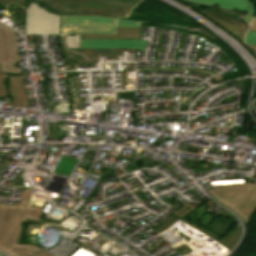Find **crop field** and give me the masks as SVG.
I'll return each mask as SVG.
<instances>
[{"instance_id":"crop-field-1","label":"crop field","mask_w":256,"mask_h":256,"mask_svg":"<svg viewBox=\"0 0 256 256\" xmlns=\"http://www.w3.org/2000/svg\"><path fill=\"white\" fill-rule=\"evenodd\" d=\"M32 189H23L19 206L0 204V249L11 256H31L40 251L31 245H16L21 222L26 218L39 221L41 208L29 207Z\"/></svg>"},{"instance_id":"crop-field-2","label":"crop field","mask_w":256,"mask_h":256,"mask_svg":"<svg viewBox=\"0 0 256 256\" xmlns=\"http://www.w3.org/2000/svg\"><path fill=\"white\" fill-rule=\"evenodd\" d=\"M207 192L225 207L238 214L244 225L256 208V179L253 184L233 185Z\"/></svg>"},{"instance_id":"crop-field-3","label":"crop field","mask_w":256,"mask_h":256,"mask_svg":"<svg viewBox=\"0 0 256 256\" xmlns=\"http://www.w3.org/2000/svg\"><path fill=\"white\" fill-rule=\"evenodd\" d=\"M61 33H114L113 18L93 16H61Z\"/></svg>"},{"instance_id":"crop-field-4","label":"crop field","mask_w":256,"mask_h":256,"mask_svg":"<svg viewBox=\"0 0 256 256\" xmlns=\"http://www.w3.org/2000/svg\"><path fill=\"white\" fill-rule=\"evenodd\" d=\"M60 16L30 2L27 9L26 34H59Z\"/></svg>"},{"instance_id":"crop-field-5","label":"crop field","mask_w":256,"mask_h":256,"mask_svg":"<svg viewBox=\"0 0 256 256\" xmlns=\"http://www.w3.org/2000/svg\"><path fill=\"white\" fill-rule=\"evenodd\" d=\"M19 61L14 31L0 24V64L6 73L21 74V67L13 68L12 62Z\"/></svg>"},{"instance_id":"crop-field-6","label":"crop field","mask_w":256,"mask_h":256,"mask_svg":"<svg viewBox=\"0 0 256 256\" xmlns=\"http://www.w3.org/2000/svg\"><path fill=\"white\" fill-rule=\"evenodd\" d=\"M201 12L213 19L217 24L222 26L224 29L235 35L237 38L243 41V37L247 31V27L249 25L234 19L232 17H228L222 15L220 13H214L211 11L202 10Z\"/></svg>"},{"instance_id":"crop-field-7","label":"crop field","mask_w":256,"mask_h":256,"mask_svg":"<svg viewBox=\"0 0 256 256\" xmlns=\"http://www.w3.org/2000/svg\"><path fill=\"white\" fill-rule=\"evenodd\" d=\"M147 42L140 40H81V48H138L144 49Z\"/></svg>"},{"instance_id":"crop-field-8","label":"crop field","mask_w":256,"mask_h":256,"mask_svg":"<svg viewBox=\"0 0 256 256\" xmlns=\"http://www.w3.org/2000/svg\"><path fill=\"white\" fill-rule=\"evenodd\" d=\"M194 2H199L207 5H215L218 4L220 5V8H225L232 10L234 8L241 9V10H249L247 14L246 21L251 22L253 16H254V6L251 3L250 0H190Z\"/></svg>"},{"instance_id":"crop-field-9","label":"crop field","mask_w":256,"mask_h":256,"mask_svg":"<svg viewBox=\"0 0 256 256\" xmlns=\"http://www.w3.org/2000/svg\"><path fill=\"white\" fill-rule=\"evenodd\" d=\"M9 81L13 106H29L23 76H11Z\"/></svg>"},{"instance_id":"crop-field-10","label":"crop field","mask_w":256,"mask_h":256,"mask_svg":"<svg viewBox=\"0 0 256 256\" xmlns=\"http://www.w3.org/2000/svg\"><path fill=\"white\" fill-rule=\"evenodd\" d=\"M117 35H81V39H139L141 28H116Z\"/></svg>"},{"instance_id":"crop-field-11","label":"crop field","mask_w":256,"mask_h":256,"mask_svg":"<svg viewBox=\"0 0 256 256\" xmlns=\"http://www.w3.org/2000/svg\"><path fill=\"white\" fill-rule=\"evenodd\" d=\"M191 226H193L195 229L199 230L200 232L204 233L208 237L212 238L213 240L217 241L218 243H220L221 245L225 246L226 248H228L230 250L233 248V246L239 240V237L241 235V227L234 229L232 232H230L225 237L220 238V237L214 235L213 233H211L205 229H202L194 224Z\"/></svg>"},{"instance_id":"crop-field-12","label":"crop field","mask_w":256,"mask_h":256,"mask_svg":"<svg viewBox=\"0 0 256 256\" xmlns=\"http://www.w3.org/2000/svg\"><path fill=\"white\" fill-rule=\"evenodd\" d=\"M141 24H153V25H159V26H165V27H171V28H178V29H183V30H187L189 28L187 27H181V26H175V25H167V24H160V23H148V22H140V21H132V20H122V19H118V23L117 26H131V27H140ZM194 33H198L201 34L205 37H208L212 40H214L212 37H210L207 33L205 32H194Z\"/></svg>"},{"instance_id":"crop-field-13","label":"crop field","mask_w":256,"mask_h":256,"mask_svg":"<svg viewBox=\"0 0 256 256\" xmlns=\"http://www.w3.org/2000/svg\"><path fill=\"white\" fill-rule=\"evenodd\" d=\"M207 229L221 237L226 235L231 230L230 227L226 226L225 224H223L217 220L214 221L211 226L207 227Z\"/></svg>"},{"instance_id":"crop-field-14","label":"crop field","mask_w":256,"mask_h":256,"mask_svg":"<svg viewBox=\"0 0 256 256\" xmlns=\"http://www.w3.org/2000/svg\"><path fill=\"white\" fill-rule=\"evenodd\" d=\"M209 201L207 198L203 199L202 201H200L198 204L196 205H192L190 202L187 203L186 205H184L183 207H181L179 210H177L175 213H173V215L179 217V218H183L184 216H186L188 213H190L193 209H195L197 206L201 205L202 203H205Z\"/></svg>"},{"instance_id":"crop-field-15","label":"crop field","mask_w":256,"mask_h":256,"mask_svg":"<svg viewBox=\"0 0 256 256\" xmlns=\"http://www.w3.org/2000/svg\"><path fill=\"white\" fill-rule=\"evenodd\" d=\"M27 0H0V5L3 6L7 11L9 4H15L16 6L25 10Z\"/></svg>"},{"instance_id":"crop-field-16","label":"crop field","mask_w":256,"mask_h":256,"mask_svg":"<svg viewBox=\"0 0 256 256\" xmlns=\"http://www.w3.org/2000/svg\"><path fill=\"white\" fill-rule=\"evenodd\" d=\"M66 45L69 48H80V35H66Z\"/></svg>"},{"instance_id":"crop-field-17","label":"crop field","mask_w":256,"mask_h":256,"mask_svg":"<svg viewBox=\"0 0 256 256\" xmlns=\"http://www.w3.org/2000/svg\"><path fill=\"white\" fill-rule=\"evenodd\" d=\"M197 208H198V209H197L196 213H194V214H192V215H193V216L197 215V217L200 218L201 215L204 214L202 211L205 210V209H207V208H205V207L202 206V205L199 206V207H197ZM191 217H192V216H191ZM202 218H203V221H202L201 223H203L204 225H207L208 222L211 221V220H213V219H215L216 216H212V217L205 216V217H202ZM190 221L195 222L196 219H195V220L191 219ZM204 228H205V227H204Z\"/></svg>"},{"instance_id":"crop-field-18","label":"crop field","mask_w":256,"mask_h":256,"mask_svg":"<svg viewBox=\"0 0 256 256\" xmlns=\"http://www.w3.org/2000/svg\"><path fill=\"white\" fill-rule=\"evenodd\" d=\"M7 75H0V98L8 97L6 87H5V78Z\"/></svg>"},{"instance_id":"crop-field-19","label":"crop field","mask_w":256,"mask_h":256,"mask_svg":"<svg viewBox=\"0 0 256 256\" xmlns=\"http://www.w3.org/2000/svg\"><path fill=\"white\" fill-rule=\"evenodd\" d=\"M245 43L256 45V32L248 31L247 37L245 39Z\"/></svg>"},{"instance_id":"crop-field-20","label":"crop field","mask_w":256,"mask_h":256,"mask_svg":"<svg viewBox=\"0 0 256 256\" xmlns=\"http://www.w3.org/2000/svg\"><path fill=\"white\" fill-rule=\"evenodd\" d=\"M249 30L256 31V18L253 20ZM248 46L251 47L256 53V46H251V45H248Z\"/></svg>"},{"instance_id":"crop-field-21","label":"crop field","mask_w":256,"mask_h":256,"mask_svg":"<svg viewBox=\"0 0 256 256\" xmlns=\"http://www.w3.org/2000/svg\"><path fill=\"white\" fill-rule=\"evenodd\" d=\"M32 256H46V255H44V254L38 252V253H36V254H34V255H32Z\"/></svg>"},{"instance_id":"crop-field-22","label":"crop field","mask_w":256,"mask_h":256,"mask_svg":"<svg viewBox=\"0 0 256 256\" xmlns=\"http://www.w3.org/2000/svg\"><path fill=\"white\" fill-rule=\"evenodd\" d=\"M0 74H6L5 72H2L1 66H0Z\"/></svg>"},{"instance_id":"crop-field-23","label":"crop field","mask_w":256,"mask_h":256,"mask_svg":"<svg viewBox=\"0 0 256 256\" xmlns=\"http://www.w3.org/2000/svg\"><path fill=\"white\" fill-rule=\"evenodd\" d=\"M0 256H4V255L0 254Z\"/></svg>"}]
</instances>
